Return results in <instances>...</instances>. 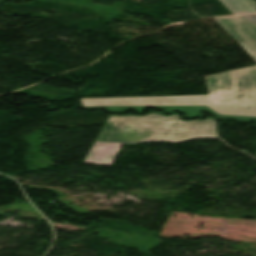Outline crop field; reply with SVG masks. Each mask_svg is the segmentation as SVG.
Here are the masks:
<instances>
[{"instance_id": "crop-field-1", "label": "crop field", "mask_w": 256, "mask_h": 256, "mask_svg": "<svg viewBox=\"0 0 256 256\" xmlns=\"http://www.w3.org/2000/svg\"><path fill=\"white\" fill-rule=\"evenodd\" d=\"M256 61V14L215 18ZM210 95L80 99L94 105H208L219 114L256 116V66L206 76ZM231 88V91L227 89Z\"/></svg>"}, {"instance_id": "crop-field-2", "label": "crop field", "mask_w": 256, "mask_h": 256, "mask_svg": "<svg viewBox=\"0 0 256 256\" xmlns=\"http://www.w3.org/2000/svg\"><path fill=\"white\" fill-rule=\"evenodd\" d=\"M216 123L217 120L211 118L184 122L179 114L169 117L157 113L144 117L110 115L84 163L111 166L125 143L217 138Z\"/></svg>"}, {"instance_id": "crop-field-3", "label": "crop field", "mask_w": 256, "mask_h": 256, "mask_svg": "<svg viewBox=\"0 0 256 256\" xmlns=\"http://www.w3.org/2000/svg\"><path fill=\"white\" fill-rule=\"evenodd\" d=\"M101 107H107L108 108L107 112H114V111L123 112L130 108H134L137 110L138 113H143L144 107H151V106H95V107H85V108L98 109ZM155 107H159L165 110L167 113L173 112L174 110H179L182 113H187L186 118H194L197 115L203 116V114L200 113V110L207 109L208 111L215 113L216 116L225 118V119L237 118V119H243V120H249V121H256V117L219 115L208 106H155Z\"/></svg>"}, {"instance_id": "crop-field-4", "label": "crop field", "mask_w": 256, "mask_h": 256, "mask_svg": "<svg viewBox=\"0 0 256 256\" xmlns=\"http://www.w3.org/2000/svg\"><path fill=\"white\" fill-rule=\"evenodd\" d=\"M233 14L256 12L255 0H220Z\"/></svg>"}]
</instances>
